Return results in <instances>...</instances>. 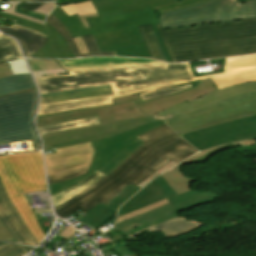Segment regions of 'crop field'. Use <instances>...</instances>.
<instances>
[{
	"label": "crop field",
	"mask_w": 256,
	"mask_h": 256,
	"mask_svg": "<svg viewBox=\"0 0 256 256\" xmlns=\"http://www.w3.org/2000/svg\"><path fill=\"white\" fill-rule=\"evenodd\" d=\"M69 73L35 79L41 94L111 85L115 95L41 105L38 116L111 105V98L136 93L145 101L186 89L192 84L173 89L169 86L195 81L189 63L123 66Z\"/></svg>",
	"instance_id": "8a807250"
},
{
	"label": "crop field",
	"mask_w": 256,
	"mask_h": 256,
	"mask_svg": "<svg viewBox=\"0 0 256 256\" xmlns=\"http://www.w3.org/2000/svg\"><path fill=\"white\" fill-rule=\"evenodd\" d=\"M145 143L112 173L75 198L55 207L65 218L78 209L87 212L97 204H106L128 183L139 184L162 166L173 160L180 162L197 151L166 124L138 137Z\"/></svg>",
	"instance_id": "ac0d7876"
},
{
	"label": "crop field",
	"mask_w": 256,
	"mask_h": 256,
	"mask_svg": "<svg viewBox=\"0 0 256 256\" xmlns=\"http://www.w3.org/2000/svg\"><path fill=\"white\" fill-rule=\"evenodd\" d=\"M156 26L173 62L256 53V19L182 29Z\"/></svg>",
	"instance_id": "34b2d1b8"
},
{
	"label": "crop field",
	"mask_w": 256,
	"mask_h": 256,
	"mask_svg": "<svg viewBox=\"0 0 256 256\" xmlns=\"http://www.w3.org/2000/svg\"><path fill=\"white\" fill-rule=\"evenodd\" d=\"M252 113H256V82L221 89L190 104L184 101L149 119L167 121L182 133Z\"/></svg>",
	"instance_id": "412701ff"
},
{
	"label": "crop field",
	"mask_w": 256,
	"mask_h": 256,
	"mask_svg": "<svg viewBox=\"0 0 256 256\" xmlns=\"http://www.w3.org/2000/svg\"><path fill=\"white\" fill-rule=\"evenodd\" d=\"M99 17L86 18L90 28L85 29L78 15L69 17L59 6L55 15L69 30L72 37L85 36L123 28L158 24L153 15L155 6L178 0H90ZM148 9V11H146Z\"/></svg>",
	"instance_id": "f4fd0767"
},
{
	"label": "crop field",
	"mask_w": 256,
	"mask_h": 256,
	"mask_svg": "<svg viewBox=\"0 0 256 256\" xmlns=\"http://www.w3.org/2000/svg\"><path fill=\"white\" fill-rule=\"evenodd\" d=\"M0 179L39 244L45 235L23 194L46 190L41 152L0 156Z\"/></svg>",
	"instance_id": "dd49c442"
},
{
	"label": "crop field",
	"mask_w": 256,
	"mask_h": 256,
	"mask_svg": "<svg viewBox=\"0 0 256 256\" xmlns=\"http://www.w3.org/2000/svg\"><path fill=\"white\" fill-rule=\"evenodd\" d=\"M254 18H256V0L243 2L239 0H209L160 14L163 29Z\"/></svg>",
	"instance_id": "e52e79f7"
},
{
	"label": "crop field",
	"mask_w": 256,
	"mask_h": 256,
	"mask_svg": "<svg viewBox=\"0 0 256 256\" xmlns=\"http://www.w3.org/2000/svg\"><path fill=\"white\" fill-rule=\"evenodd\" d=\"M163 124L164 122L159 120L157 122L124 132L109 139L92 142L91 145L94 149V154L88 174L65 182L49 185L51 195L80 182L96 170L108 175L144 143L136 137Z\"/></svg>",
	"instance_id": "d8731c3e"
},
{
	"label": "crop field",
	"mask_w": 256,
	"mask_h": 256,
	"mask_svg": "<svg viewBox=\"0 0 256 256\" xmlns=\"http://www.w3.org/2000/svg\"><path fill=\"white\" fill-rule=\"evenodd\" d=\"M37 91L0 98V142L33 140L41 149L33 127Z\"/></svg>",
	"instance_id": "5a996713"
},
{
	"label": "crop field",
	"mask_w": 256,
	"mask_h": 256,
	"mask_svg": "<svg viewBox=\"0 0 256 256\" xmlns=\"http://www.w3.org/2000/svg\"><path fill=\"white\" fill-rule=\"evenodd\" d=\"M199 151L256 137V114L180 134Z\"/></svg>",
	"instance_id": "3316defc"
},
{
	"label": "crop field",
	"mask_w": 256,
	"mask_h": 256,
	"mask_svg": "<svg viewBox=\"0 0 256 256\" xmlns=\"http://www.w3.org/2000/svg\"><path fill=\"white\" fill-rule=\"evenodd\" d=\"M220 147H223V146H220ZM220 147H216V148H220ZM216 148H212V149L200 152L188 158L187 160L183 161L182 163L178 164L176 167L172 168L168 172L160 175L167 181V183L173 188V190L179 194L173 198L168 199L173 209L176 212L185 210L190 207L211 202L217 198V195L214 193L201 192V191L191 189L190 184L196 181L193 178L184 175L180 168L183 164L187 163L188 161L193 160L197 157H200Z\"/></svg>",
	"instance_id": "28ad6ade"
},
{
	"label": "crop field",
	"mask_w": 256,
	"mask_h": 256,
	"mask_svg": "<svg viewBox=\"0 0 256 256\" xmlns=\"http://www.w3.org/2000/svg\"><path fill=\"white\" fill-rule=\"evenodd\" d=\"M151 123L148 118L116 122L106 126H98L69 133L44 137V150L82 144L109 138L132 128Z\"/></svg>",
	"instance_id": "d1516ede"
},
{
	"label": "crop field",
	"mask_w": 256,
	"mask_h": 256,
	"mask_svg": "<svg viewBox=\"0 0 256 256\" xmlns=\"http://www.w3.org/2000/svg\"><path fill=\"white\" fill-rule=\"evenodd\" d=\"M95 116H98L101 122V124H98V125H101V126L114 123L115 121L146 117L133 102H130V103L116 105V106H107V107H101V108H95V109H89V110H80V111L60 114V115L40 117V118H37V127L65 122V121L95 117ZM98 125H93V126H98ZM93 126H88V127H93ZM88 127H83V128H88ZM83 128H78V129H83ZM78 129H73V130H78ZM73 130L43 135L41 137L69 132Z\"/></svg>",
	"instance_id": "22f410ed"
},
{
	"label": "crop field",
	"mask_w": 256,
	"mask_h": 256,
	"mask_svg": "<svg viewBox=\"0 0 256 256\" xmlns=\"http://www.w3.org/2000/svg\"><path fill=\"white\" fill-rule=\"evenodd\" d=\"M217 90L218 89L215 87L211 78H209L187 90L176 92L161 98H157V99H153L145 102L142 101L139 94L120 97V98H114L112 99V101H113V105L133 101L141 109V111L147 117H149L175 104H178L184 100L191 102L193 100H196L204 95H208Z\"/></svg>",
	"instance_id": "cbeb9de0"
},
{
	"label": "crop field",
	"mask_w": 256,
	"mask_h": 256,
	"mask_svg": "<svg viewBox=\"0 0 256 256\" xmlns=\"http://www.w3.org/2000/svg\"><path fill=\"white\" fill-rule=\"evenodd\" d=\"M100 51L116 50V56L151 58L137 27L94 35Z\"/></svg>",
	"instance_id": "5142ce71"
},
{
	"label": "crop field",
	"mask_w": 256,
	"mask_h": 256,
	"mask_svg": "<svg viewBox=\"0 0 256 256\" xmlns=\"http://www.w3.org/2000/svg\"><path fill=\"white\" fill-rule=\"evenodd\" d=\"M55 150L57 153L45 156L48 176L89 165L93 154L89 143Z\"/></svg>",
	"instance_id": "d9b57169"
},
{
	"label": "crop field",
	"mask_w": 256,
	"mask_h": 256,
	"mask_svg": "<svg viewBox=\"0 0 256 256\" xmlns=\"http://www.w3.org/2000/svg\"><path fill=\"white\" fill-rule=\"evenodd\" d=\"M226 73L196 78L204 80L211 77L218 89L235 84L256 81V55L241 56L225 59Z\"/></svg>",
	"instance_id": "733c2abd"
},
{
	"label": "crop field",
	"mask_w": 256,
	"mask_h": 256,
	"mask_svg": "<svg viewBox=\"0 0 256 256\" xmlns=\"http://www.w3.org/2000/svg\"><path fill=\"white\" fill-rule=\"evenodd\" d=\"M1 16L11 18L17 21L23 22L24 27L33 29L37 32H40L46 36L47 42L46 44L33 56V58H74L71 51L67 47L66 43L60 36V34L49 24H45V26L30 22L12 15H8L0 12Z\"/></svg>",
	"instance_id": "4a817a6b"
},
{
	"label": "crop field",
	"mask_w": 256,
	"mask_h": 256,
	"mask_svg": "<svg viewBox=\"0 0 256 256\" xmlns=\"http://www.w3.org/2000/svg\"><path fill=\"white\" fill-rule=\"evenodd\" d=\"M3 200V201H1ZM0 219L18 241V243L36 247L38 244L31 235L25 222L10 201L0 181Z\"/></svg>",
	"instance_id": "bc2a9ffb"
},
{
	"label": "crop field",
	"mask_w": 256,
	"mask_h": 256,
	"mask_svg": "<svg viewBox=\"0 0 256 256\" xmlns=\"http://www.w3.org/2000/svg\"><path fill=\"white\" fill-rule=\"evenodd\" d=\"M177 195L160 176L153 179L144 189L123 205L118 216ZM117 216V217H118Z\"/></svg>",
	"instance_id": "214f88e0"
},
{
	"label": "crop field",
	"mask_w": 256,
	"mask_h": 256,
	"mask_svg": "<svg viewBox=\"0 0 256 256\" xmlns=\"http://www.w3.org/2000/svg\"><path fill=\"white\" fill-rule=\"evenodd\" d=\"M67 71L85 70L112 66L162 63L148 59L123 57H97L71 60H57Z\"/></svg>",
	"instance_id": "92a150f3"
},
{
	"label": "crop field",
	"mask_w": 256,
	"mask_h": 256,
	"mask_svg": "<svg viewBox=\"0 0 256 256\" xmlns=\"http://www.w3.org/2000/svg\"><path fill=\"white\" fill-rule=\"evenodd\" d=\"M15 26H17V28H15ZM0 30L14 36L20 41L26 57L38 51L45 44L47 38L33 30L14 24H12L11 27L0 25Z\"/></svg>",
	"instance_id": "dafd665d"
},
{
	"label": "crop field",
	"mask_w": 256,
	"mask_h": 256,
	"mask_svg": "<svg viewBox=\"0 0 256 256\" xmlns=\"http://www.w3.org/2000/svg\"><path fill=\"white\" fill-rule=\"evenodd\" d=\"M51 26H53L63 37L65 42L67 43L68 47L72 51L73 55L76 57H89V56H101V55H112L115 56V51L112 52H104L100 53L99 48L93 38V36H85L82 37L84 40V43L87 47V50L89 54L80 55L73 39L71 38L68 30L65 28V26L53 15H49L47 18V21Z\"/></svg>",
	"instance_id": "00972430"
},
{
	"label": "crop field",
	"mask_w": 256,
	"mask_h": 256,
	"mask_svg": "<svg viewBox=\"0 0 256 256\" xmlns=\"http://www.w3.org/2000/svg\"><path fill=\"white\" fill-rule=\"evenodd\" d=\"M202 225H204V224L177 217L172 220L149 227L145 230L148 233L162 230L165 237L170 238V237L180 236L182 234H185L187 232L195 230L196 228H198ZM140 232H142V231H140ZM133 235H131V236H133ZM131 236H129V237H131Z\"/></svg>",
	"instance_id": "a9b5d70f"
},
{
	"label": "crop field",
	"mask_w": 256,
	"mask_h": 256,
	"mask_svg": "<svg viewBox=\"0 0 256 256\" xmlns=\"http://www.w3.org/2000/svg\"><path fill=\"white\" fill-rule=\"evenodd\" d=\"M104 176L105 175L96 171L95 173H93L92 175H90L88 178L81 181L80 183L76 184L75 186H73L63 192L52 195L51 198H52L54 207L71 199L72 197L76 196L77 194L81 193L86 188H88L89 186H91L92 184H94L95 182H97L98 180L103 178Z\"/></svg>",
	"instance_id": "4177f3b9"
},
{
	"label": "crop field",
	"mask_w": 256,
	"mask_h": 256,
	"mask_svg": "<svg viewBox=\"0 0 256 256\" xmlns=\"http://www.w3.org/2000/svg\"><path fill=\"white\" fill-rule=\"evenodd\" d=\"M36 87L30 74L0 79V95Z\"/></svg>",
	"instance_id": "730fd06b"
},
{
	"label": "crop field",
	"mask_w": 256,
	"mask_h": 256,
	"mask_svg": "<svg viewBox=\"0 0 256 256\" xmlns=\"http://www.w3.org/2000/svg\"><path fill=\"white\" fill-rule=\"evenodd\" d=\"M114 94L111 88L41 98V104Z\"/></svg>",
	"instance_id": "eef30255"
},
{
	"label": "crop field",
	"mask_w": 256,
	"mask_h": 256,
	"mask_svg": "<svg viewBox=\"0 0 256 256\" xmlns=\"http://www.w3.org/2000/svg\"><path fill=\"white\" fill-rule=\"evenodd\" d=\"M153 59L165 61L151 25L138 27Z\"/></svg>",
	"instance_id": "ae1a2a85"
},
{
	"label": "crop field",
	"mask_w": 256,
	"mask_h": 256,
	"mask_svg": "<svg viewBox=\"0 0 256 256\" xmlns=\"http://www.w3.org/2000/svg\"><path fill=\"white\" fill-rule=\"evenodd\" d=\"M98 123L100 122L98 118L95 117V118H89V119H83V120H77V121L65 122V123H60V124H55L50 126L39 127L37 129L40 135H43V134L78 128V127L98 124Z\"/></svg>",
	"instance_id": "d3111659"
},
{
	"label": "crop field",
	"mask_w": 256,
	"mask_h": 256,
	"mask_svg": "<svg viewBox=\"0 0 256 256\" xmlns=\"http://www.w3.org/2000/svg\"><path fill=\"white\" fill-rule=\"evenodd\" d=\"M23 57L18 44L11 38L0 36V62Z\"/></svg>",
	"instance_id": "750c4746"
},
{
	"label": "crop field",
	"mask_w": 256,
	"mask_h": 256,
	"mask_svg": "<svg viewBox=\"0 0 256 256\" xmlns=\"http://www.w3.org/2000/svg\"><path fill=\"white\" fill-rule=\"evenodd\" d=\"M69 16L77 13L78 15L96 12L90 1L62 5L60 6Z\"/></svg>",
	"instance_id": "bd1437ed"
},
{
	"label": "crop field",
	"mask_w": 256,
	"mask_h": 256,
	"mask_svg": "<svg viewBox=\"0 0 256 256\" xmlns=\"http://www.w3.org/2000/svg\"><path fill=\"white\" fill-rule=\"evenodd\" d=\"M169 208H171L170 203L165 205V206H163V207H160V208L148 211L146 213L134 216V217H132V218L126 220V221H123V222H120V223H116L114 227L117 228V229L125 227V226L133 224V223H135V222H137L139 220H142V219H145L147 217L159 214V213H161V212H163V211H165V210H167Z\"/></svg>",
	"instance_id": "1d83c4d3"
},
{
	"label": "crop field",
	"mask_w": 256,
	"mask_h": 256,
	"mask_svg": "<svg viewBox=\"0 0 256 256\" xmlns=\"http://www.w3.org/2000/svg\"><path fill=\"white\" fill-rule=\"evenodd\" d=\"M32 71L63 68L56 60L27 59Z\"/></svg>",
	"instance_id": "120bbe31"
},
{
	"label": "crop field",
	"mask_w": 256,
	"mask_h": 256,
	"mask_svg": "<svg viewBox=\"0 0 256 256\" xmlns=\"http://www.w3.org/2000/svg\"><path fill=\"white\" fill-rule=\"evenodd\" d=\"M88 167L89 166H86V167H83L81 169L71 171V172H68V173L55 175V176H50V177H48L49 184L65 181V180H68V179L75 178V177L81 176L83 174H86L87 171H88Z\"/></svg>",
	"instance_id": "d32e631a"
},
{
	"label": "crop field",
	"mask_w": 256,
	"mask_h": 256,
	"mask_svg": "<svg viewBox=\"0 0 256 256\" xmlns=\"http://www.w3.org/2000/svg\"><path fill=\"white\" fill-rule=\"evenodd\" d=\"M25 254L27 253L17 244L7 243L0 246V256H24Z\"/></svg>",
	"instance_id": "5866460e"
},
{
	"label": "crop field",
	"mask_w": 256,
	"mask_h": 256,
	"mask_svg": "<svg viewBox=\"0 0 256 256\" xmlns=\"http://www.w3.org/2000/svg\"><path fill=\"white\" fill-rule=\"evenodd\" d=\"M201 1H205V0H182V1L175 2V3L155 7V10L158 11L159 13H162V12H166V11H169L172 9H176V8H179L182 6L190 5V4L201 2ZM176 6H178V7H176Z\"/></svg>",
	"instance_id": "028f5c9d"
},
{
	"label": "crop field",
	"mask_w": 256,
	"mask_h": 256,
	"mask_svg": "<svg viewBox=\"0 0 256 256\" xmlns=\"http://www.w3.org/2000/svg\"><path fill=\"white\" fill-rule=\"evenodd\" d=\"M9 65L14 75L30 73L24 59L11 61Z\"/></svg>",
	"instance_id": "e1f06a70"
},
{
	"label": "crop field",
	"mask_w": 256,
	"mask_h": 256,
	"mask_svg": "<svg viewBox=\"0 0 256 256\" xmlns=\"http://www.w3.org/2000/svg\"><path fill=\"white\" fill-rule=\"evenodd\" d=\"M166 203H168L167 199H166V200H163V201H161V202L155 203V204H153V205L147 206V207H145V208L139 209V210H137V211L131 212V213H129V214L123 215V216H121V217H118V218L116 219V222L123 221V220H125V219H127V218H129V217H131V216H134V215H137V214L146 212V211H148V210H151V209L160 207V206H162V205H164V204H166ZM116 222H115V223H116Z\"/></svg>",
	"instance_id": "0bd39190"
},
{
	"label": "crop field",
	"mask_w": 256,
	"mask_h": 256,
	"mask_svg": "<svg viewBox=\"0 0 256 256\" xmlns=\"http://www.w3.org/2000/svg\"><path fill=\"white\" fill-rule=\"evenodd\" d=\"M102 247L107 250V252L110 254V256H113V255L125 256L128 253H130V251H131L126 245L102 246Z\"/></svg>",
	"instance_id": "b80d0937"
},
{
	"label": "crop field",
	"mask_w": 256,
	"mask_h": 256,
	"mask_svg": "<svg viewBox=\"0 0 256 256\" xmlns=\"http://www.w3.org/2000/svg\"><path fill=\"white\" fill-rule=\"evenodd\" d=\"M174 217H177V214H176V213H173V214L164 216V217L159 218V219H157V220H154V221H152V222H150V223H147V224H145V225H142V226L137 227V228H135V229H132V230H130V231L124 232V234L127 235V236H129V235H131V234H133V233H136V232H138V231H140V230H142V229H144V228H147V227L152 226V225H155V224H157V223H160V222H163V221L172 219V218H174Z\"/></svg>",
	"instance_id": "c035e120"
},
{
	"label": "crop field",
	"mask_w": 256,
	"mask_h": 256,
	"mask_svg": "<svg viewBox=\"0 0 256 256\" xmlns=\"http://www.w3.org/2000/svg\"><path fill=\"white\" fill-rule=\"evenodd\" d=\"M0 241H13L17 242L14 237L11 235V233L8 231V229L5 227V225L0 220Z\"/></svg>",
	"instance_id": "c21b1889"
},
{
	"label": "crop field",
	"mask_w": 256,
	"mask_h": 256,
	"mask_svg": "<svg viewBox=\"0 0 256 256\" xmlns=\"http://www.w3.org/2000/svg\"><path fill=\"white\" fill-rule=\"evenodd\" d=\"M34 77L48 76V75H57V74H68L65 69H56V70H45V71H36L32 72Z\"/></svg>",
	"instance_id": "03da06ac"
},
{
	"label": "crop field",
	"mask_w": 256,
	"mask_h": 256,
	"mask_svg": "<svg viewBox=\"0 0 256 256\" xmlns=\"http://www.w3.org/2000/svg\"><path fill=\"white\" fill-rule=\"evenodd\" d=\"M20 4H22V3L11 4L12 5L11 7L3 10L2 12L12 14V15H15V16H18V17H21V18H24V19H27V20H30V21H34V22H37V23H40V24H42V23L45 24V22H43V21H39V20H36V19H33V18H29V17L23 16V15H19V14L14 13L15 8Z\"/></svg>",
	"instance_id": "b54c1fbb"
},
{
	"label": "crop field",
	"mask_w": 256,
	"mask_h": 256,
	"mask_svg": "<svg viewBox=\"0 0 256 256\" xmlns=\"http://www.w3.org/2000/svg\"><path fill=\"white\" fill-rule=\"evenodd\" d=\"M176 165V163L174 162H169L167 165H165L164 167H162L160 170H158L157 172H155L153 175H151L150 177H148L146 180H144L143 182H141L138 186L142 187L143 185H145L147 182H149L151 179H153L155 176H157L158 174H160L161 172L171 168L172 166Z\"/></svg>",
	"instance_id": "5d738f31"
},
{
	"label": "crop field",
	"mask_w": 256,
	"mask_h": 256,
	"mask_svg": "<svg viewBox=\"0 0 256 256\" xmlns=\"http://www.w3.org/2000/svg\"><path fill=\"white\" fill-rule=\"evenodd\" d=\"M55 6H56V2L46 3L40 8H38L37 10H35L34 12L48 15Z\"/></svg>",
	"instance_id": "d23c7cc5"
},
{
	"label": "crop field",
	"mask_w": 256,
	"mask_h": 256,
	"mask_svg": "<svg viewBox=\"0 0 256 256\" xmlns=\"http://www.w3.org/2000/svg\"><path fill=\"white\" fill-rule=\"evenodd\" d=\"M152 27H153V29H154V32H155L156 37H157V39H158V42H159V44H160V46H161V49H162V51H163V54H164V56H165L166 61H167V62H171V60H170V58H169V56H168V53H167V51H166V49H165V46H164V44H163V42H162V40H161V37H160V35H159V33H158V30H157L156 26L154 25V26H152Z\"/></svg>",
	"instance_id": "425ffa30"
},
{
	"label": "crop field",
	"mask_w": 256,
	"mask_h": 256,
	"mask_svg": "<svg viewBox=\"0 0 256 256\" xmlns=\"http://www.w3.org/2000/svg\"><path fill=\"white\" fill-rule=\"evenodd\" d=\"M13 75L7 62L0 64V78Z\"/></svg>",
	"instance_id": "25e5ab78"
},
{
	"label": "crop field",
	"mask_w": 256,
	"mask_h": 256,
	"mask_svg": "<svg viewBox=\"0 0 256 256\" xmlns=\"http://www.w3.org/2000/svg\"><path fill=\"white\" fill-rule=\"evenodd\" d=\"M77 232H78L77 230H75L73 227L69 226L63 232H61L59 235L69 239L70 237H72Z\"/></svg>",
	"instance_id": "73cf0c24"
},
{
	"label": "crop field",
	"mask_w": 256,
	"mask_h": 256,
	"mask_svg": "<svg viewBox=\"0 0 256 256\" xmlns=\"http://www.w3.org/2000/svg\"><path fill=\"white\" fill-rule=\"evenodd\" d=\"M74 41L81 54L88 53L81 37L74 38Z\"/></svg>",
	"instance_id": "89e229c0"
},
{
	"label": "crop field",
	"mask_w": 256,
	"mask_h": 256,
	"mask_svg": "<svg viewBox=\"0 0 256 256\" xmlns=\"http://www.w3.org/2000/svg\"><path fill=\"white\" fill-rule=\"evenodd\" d=\"M44 3H25L21 6H19V8H23V9H27V10H35L36 8L40 7L41 5H43Z\"/></svg>",
	"instance_id": "1f2cbd36"
},
{
	"label": "crop field",
	"mask_w": 256,
	"mask_h": 256,
	"mask_svg": "<svg viewBox=\"0 0 256 256\" xmlns=\"http://www.w3.org/2000/svg\"><path fill=\"white\" fill-rule=\"evenodd\" d=\"M230 147H234V146H233V145H229V146H226V147H223V148H220V149H216V150H214V151H212V152L206 154L205 156L200 157V158H198V159H195V160H193V161H191V162L203 161V160H205L206 158H208L210 155H212V154H214V153H216V152H218V151H220V150L227 149V148H230ZM191 162H189V163H191Z\"/></svg>",
	"instance_id": "dbb93151"
},
{
	"label": "crop field",
	"mask_w": 256,
	"mask_h": 256,
	"mask_svg": "<svg viewBox=\"0 0 256 256\" xmlns=\"http://www.w3.org/2000/svg\"><path fill=\"white\" fill-rule=\"evenodd\" d=\"M108 87H110V86L98 87V88H91V89H84V90H76V91H69V92H62V93H55V94H48V95H41V97H44V96H51V95H58V94H65V93H72V92L87 91V90H94V89H101V88H108Z\"/></svg>",
	"instance_id": "0fb4a251"
},
{
	"label": "crop field",
	"mask_w": 256,
	"mask_h": 256,
	"mask_svg": "<svg viewBox=\"0 0 256 256\" xmlns=\"http://www.w3.org/2000/svg\"><path fill=\"white\" fill-rule=\"evenodd\" d=\"M16 13H20V14H23V15H26V16H30V17H33V18H36V19H40V20H45V17H41V16H37V15H33V14H29V13H25V12H21V11H15Z\"/></svg>",
	"instance_id": "1d79db26"
},
{
	"label": "crop field",
	"mask_w": 256,
	"mask_h": 256,
	"mask_svg": "<svg viewBox=\"0 0 256 256\" xmlns=\"http://www.w3.org/2000/svg\"><path fill=\"white\" fill-rule=\"evenodd\" d=\"M91 16H98V15H97V13H94V14H88V15L79 16V17L82 19V21H83V23H84V25H85L86 28L88 27V25H87V23H86L84 17H91Z\"/></svg>",
	"instance_id": "9d1cf04e"
},
{
	"label": "crop field",
	"mask_w": 256,
	"mask_h": 256,
	"mask_svg": "<svg viewBox=\"0 0 256 256\" xmlns=\"http://www.w3.org/2000/svg\"><path fill=\"white\" fill-rule=\"evenodd\" d=\"M36 88L34 89H29V90H25V91H31V90H35ZM25 91H21V92H25ZM21 92H17V93H21ZM17 93H12V94H8V95H4V96H9V95H13V94H17ZM4 96H0V97H4Z\"/></svg>",
	"instance_id": "447ae74e"
},
{
	"label": "crop field",
	"mask_w": 256,
	"mask_h": 256,
	"mask_svg": "<svg viewBox=\"0 0 256 256\" xmlns=\"http://www.w3.org/2000/svg\"><path fill=\"white\" fill-rule=\"evenodd\" d=\"M127 256H137V254L130 253V254L127 255ZM146 256H152V255H146Z\"/></svg>",
	"instance_id": "0765c3eb"
},
{
	"label": "crop field",
	"mask_w": 256,
	"mask_h": 256,
	"mask_svg": "<svg viewBox=\"0 0 256 256\" xmlns=\"http://www.w3.org/2000/svg\"><path fill=\"white\" fill-rule=\"evenodd\" d=\"M7 1H31V0H7Z\"/></svg>",
	"instance_id": "db79e9e6"
},
{
	"label": "crop field",
	"mask_w": 256,
	"mask_h": 256,
	"mask_svg": "<svg viewBox=\"0 0 256 256\" xmlns=\"http://www.w3.org/2000/svg\"><path fill=\"white\" fill-rule=\"evenodd\" d=\"M33 1H45V0H33Z\"/></svg>",
	"instance_id": "7b73153f"
},
{
	"label": "crop field",
	"mask_w": 256,
	"mask_h": 256,
	"mask_svg": "<svg viewBox=\"0 0 256 256\" xmlns=\"http://www.w3.org/2000/svg\"><path fill=\"white\" fill-rule=\"evenodd\" d=\"M1 144H8V143H0V145H1Z\"/></svg>",
	"instance_id": "78b8030e"
},
{
	"label": "crop field",
	"mask_w": 256,
	"mask_h": 256,
	"mask_svg": "<svg viewBox=\"0 0 256 256\" xmlns=\"http://www.w3.org/2000/svg\"><path fill=\"white\" fill-rule=\"evenodd\" d=\"M2 244H4V243H2ZM1 245V244H0Z\"/></svg>",
	"instance_id": "0f1d7ab4"
},
{
	"label": "crop field",
	"mask_w": 256,
	"mask_h": 256,
	"mask_svg": "<svg viewBox=\"0 0 256 256\" xmlns=\"http://www.w3.org/2000/svg\"><path fill=\"white\" fill-rule=\"evenodd\" d=\"M241 1H243V0H241Z\"/></svg>",
	"instance_id": "e1d0b9f6"
},
{
	"label": "crop field",
	"mask_w": 256,
	"mask_h": 256,
	"mask_svg": "<svg viewBox=\"0 0 256 256\" xmlns=\"http://www.w3.org/2000/svg\"><path fill=\"white\" fill-rule=\"evenodd\" d=\"M1 243V242H0Z\"/></svg>",
	"instance_id": "ae633e8c"
}]
</instances>
